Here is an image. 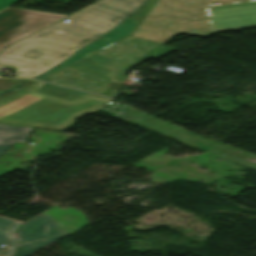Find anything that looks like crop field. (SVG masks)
<instances>
[{
	"label": "crop field",
	"mask_w": 256,
	"mask_h": 256,
	"mask_svg": "<svg viewBox=\"0 0 256 256\" xmlns=\"http://www.w3.org/2000/svg\"><path fill=\"white\" fill-rule=\"evenodd\" d=\"M155 2L156 0H147L145 2L144 7L140 9L138 12H136L134 15H132L130 18L143 20V18L146 16V14L148 13V11L151 9Z\"/></svg>",
	"instance_id": "obj_9"
},
{
	"label": "crop field",
	"mask_w": 256,
	"mask_h": 256,
	"mask_svg": "<svg viewBox=\"0 0 256 256\" xmlns=\"http://www.w3.org/2000/svg\"><path fill=\"white\" fill-rule=\"evenodd\" d=\"M19 0H0V10L16 3Z\"/></svg>",
	"instance_id": "obj_11"
},
{
	"label": "crop field",
	"mask_w": 256,
	"mask_h": 256,
	"mask_svg": "<svg viewBox=\"0 0 256 256\" xmlns=\"http://www.w3.org/2000/svg\"><path fill=\"white\" fill-rule=\"evenodd\" d=\"M34 82H37V81L31 80L30 82L25 83V84H23V85H21V86L15 88L14 90H12V91H10V92H8V93H6V94L0 95V99L3 98V97H5V96H7V95H9V94H11V93H13V92H15V91H17V90H19V89H21V88H23V87H25V86H27V85H29V84H31V83H34Z\"/></svg>",
	"instance_id": "obj_12"
},
{
	"label": "crop field",
	"mask_w": 256,
	"mask_h": 256,
	"mask_svg": "<svg viewBox=\"0 0 256 256\" xmlns=\"http://www.w3.org/2000/svg\"><path fill=\"white\" fill-rule=\"evenodd\" d=\"M213 31L256 25V1L210 8Z\"/></svg>",
	"instance_id": "obj_5"
},
{
	"label": "crop field",
	"mask_w": 256,
	"mask_h": 256,
	"mask_svg": "<svg viewBox=\"0 0 256 256\" xmlns=\"http://www.w3.org/2000/svg\"><path fill=\"white\" fill-rule=\"evenodd\" d=\"M143 2L144 0L98 2L99 4L67 18L70 22L55 24L9 47L0 55V64L16 66L15 77H38L79 48L105 34Z\"/></svg>",
	"instance_id": "obj_1"
},
{
	"label": "crop field",
	"mask_w": 256,
	"mask_h": 256,
	"mask_svg": "<svg viewBox=\"0 0 256 256\" xmlns=\"http://www.w3.org/2000/svg\"><path fill=\"white\" fill-rule=\"evenodd\" d=\"M33 129L0 124V155L15 141L23 142Z\"/></svg>",
	"instance_id": "obj_7"
},
{
	"label": "crop field",
	"mask_w": 256,
	"mask_h": 256,
	"mask_svg": "<svg viewBox=\"0 0 256 256\" xmlns=\"http://www.w3.org/2000/svg\"><path fill=\"white\" fill-rule=\"evenodd\" d=\"M17 221L0 218V245L12 246L11 232L15 228ZM9 249L0 248V256H5Z\"/></svg>",
	"instance_id": "obj_8"
},
{
	"label": "crop field",
	"mask_w": 256,
	"mask_h": 256,
	"mask_svg": "<svg viewBox=\"0 0 256 256\" xmlns=\"http://www.w3.org/2000/svg\"><path fill=\"white\" fill-rule=\"evenodd\" d=\"M24 80L26 79H0V91L11 89Z\"/></svg>",
	"instance_id": "obj_10"
},
{
	"label": "crop field",
	"mask_w": 256,
	"mask_h": 256,
	"mask_svg": "<svg viewBox=\"0 0 256 256\" xmlns=\"http://www.w3.org/2000/svg\"><path fill=\"white\" fill-rule=\"evenodd\" d=\"M63 17L65 15L14 8L0 11V52L9 44Z\"/></svg>",
	"instance_id": "obj_3"
},
{
	"label": "crop field",
	"mask_w": 256,
	"mask_h": 256,
	"mask_svg": "<svg viewBox=\"0 0 256 256\" xmlns=\"http://www.w3.org/2000/svg\"><path fill=\"white\" fill-rule=\"evenodd\" d=\"M219 1L248 0H158L132 36L161 44L180 33L204 37L211 32L208 7Z\"/></svg>",
	"instance_id": "obj_2"
},
{
	"label": "crop field",
	"mask_w": 256,
	"mask_h": 256,
	"mask_svg": "<svg viewBox=\"0 0 256 256\" xmlns=\"http://www.w3.org/2000/svg\"><path fill=\"white\" fill-rule=\"evenodd\" d=\"M140 21L138 20H131L127 19L122 24H120L118 27H116L113 31H111L106 36L98 39L97 41L89 44L87 47H85L82 51L79 53L73 55L71 58L63 62L61 65L56 67L55 69L51 70L50 72L46 73L45 75L37 78V80H41L53 73H56L104 48L107 46L127 37L130 36L135 28L138 26Z\"/></svg>",
	"instance_id": "obj_6"
},
{
	"label": "crop field",
	"mask_w": 256,
	"mask_h": 256,
	"mask_svg": "<svg viewBox=\"0 0 256 256\" xmlns=\"http://www.w3.org/2000/svg\"><path fill=\"white\" fill-rule=\"evenodd\" d=\"M65 235L49 216L39 215L20 226L9 256H28Z\"/></svg>",
	"instance_id": "obj_4"
}]
</instances>
